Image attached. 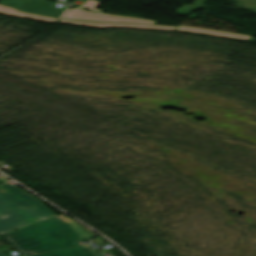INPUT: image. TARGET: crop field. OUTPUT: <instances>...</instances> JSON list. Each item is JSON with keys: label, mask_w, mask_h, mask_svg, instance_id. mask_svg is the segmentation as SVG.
<instances>
[{"label": "crop field", "mask_w": 256, "mask_h": 256, "mask_svg": "<svg viewBox=\"0 0 256 256\" xmlns=\"http://www.w3.org/2000/svg\"><path fill=\"white\" fill-rule=\"evenodd\" d=\"M0 184H4V183L0 182Z\"/></svg>", "instance_id": "crop-field-10"}, {"label": "crop field", "mask_w": 256, "mask_h": 256, "mask_svg": "<svg viewBox=\"0 0 256 256\" xmlns=\"http://www.w3.org/2000/svg\"><path fill=\"white\" fill-rule=\"evenodd\" d=\"M63 18L68 19H82V20H94V21H109V22H127V23H146L155 24L153 21L139 20L121 16L106 15L96 12L86 11L82 8H69Z\"/></svg>", "instance_id": "crop-field-5"}, {"label": "crop field", "mask_w": 256, "mask_h": 256, "mask_svg": "<svg viewBox=\"0 0 256 256\" xmlns=\"http://www.w3.org/2000/svg\"><path fill=\"white\" fill-rule=\"evenodd\" d=\"M55 216L35 197L8 184L0 186V234Z\"/></svg>", "instance_id": "crop-field-2"}, {"label": "crop field", "mask_w": 256, "mask_h": 256, "mask_svg": "<svg viewBox=\"0 0 256 256\" xmlns=\"http://www.w3.org/2000/svg\"><path fill=\"white\" fill-rule=\"evenodd\" d=\"M0 12L13 15V16H19V17H25V18H31V19H37V20H43V21H49V22H55L58 19H52L48 17H43L39 15H34V14H28V13H23L21 11H18L14 8L6 7V6H1L0 5Z\"/></svg>", "instance_id": "crop-field-7"}, {"label": "crop field", "mask_w": 256, "mask_h": 256, "mask_svg": "<svg viewBox=\"0 0 256 256\" xmlns=\"http://www.w3.org/2000/svg\"><path fill=\"white\" fill-rule=\"evenodd\" d=\"M60 22L69 23V24H76V25H84V26L101 27V28L116 26V27H128V28L188 31V32L207 34V35H213V36H219V37H226V38H232V39H239V40H245V41H251V42H255V40H256L252 36H248V35H241V34H235V33L207 30V29L187 27V26H178V27L144 26V25H128V24L85 22V21H76V20H67V19H62ZM250 38H252V40H249Z\"/></svg>", "instance_id": "crop-field-3"}, {"label": "crop field", "mask_w": 256, "mask_h": 256, "mask_svg": "<svg viewBox=\"0 0 256 256\" xmlns=\"http://www.w3.org/2000/svg\"><path fill=\"white\" fill-rule=\"evenodd\" d=\"M0 3L22 11L54 17H60L66 10V8H57L56 4L47 0H2Z\"/></svg>", "instance_id": "crop-field-4"}, {"label": "crop field", "mask_w": 256, "mask_h": 256, "mask_svg": "<svg viewBox=\"0 0 256 256\" xmlns=\"http://www.w3.org/2000/svg\"><path fill=\"white\" fill-rule=\"evenodd\" d=\"M98 4H99L98 1L87 0V1L82 5V7H86V8H89V9H91V10L101 11V10H98V9H94Z\"/></svg>", "instance_id": "crop-field-8"}, {"label": "crop field", "mask_w": 256, "mask_h": 256, "mask_svg": "<svg viewBox=\"0 0 256 256\" xmlns=\"http://www.w3.org/2000/svg\"><path fill=\"white\" fill-rule=\"evenodd\" d=\"M0 256H8V255H5V254H3V253L0 252Z\"/></svg>", "instance_id": "crop-field-9"}, {"label": "crop field", "mask_w": 256, "mask_h": 256, "mask_svg": "<svg viewBox=\"0 0 256 256\" xmlns=\"http://www.w3.org/2000/svg\"><path fill=\"white\" fill-rule=\"evenodd\" d=\"M76 222L60 215L2 237L22 256L73 247L95 236Z\"/></svg>", "instance_id": "crop-field-1"}, {"label": "crop field", "mask_w": 256, "mask_h": 256, "mask_svg": "<svg viewBox=\"0 0 256 256\" xmlns=\"http://www.w3.org/2000/svg\"><path fill=\"white\" fill-rule=\"evenodd\" d=\"M34 256H102L98 251H96L92 246H82L66 250H60L50 253H44Z\"/></svg>", "instance_id": "crop-field-6"}]
</instances>
